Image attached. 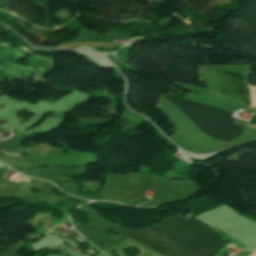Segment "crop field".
<instances>
[{
    "mask_svg": "<svg viewBox=\"0 0 256 256\" xmlns=\"http://www.w3.org/2000/svg\"><path fill=\"white\" fill-rule=\"evenodd\" d=\"M165 99L207 136L230 142L242 134V127L232 125L234 121L232 112L186 100Z\"/></svg>",
    "mask_w": 256,
    "mask_h": 256,
    "instance_id": "obj_1",
    "label": "crop field"
},
{
    "mask_svg": "<svg viewBox=\"0 0 256 256\" xmlns=\"http://www.w3.org/2000/svg\"><path fill=\"white\" fill-rule=\"evenodd\" d=\"M147 229L200 256H211L221 246L209 229L176 216Z\"/></svg>",
    "mask_w": 256,
    "mask_h": 256,
    "instance_id": "obj_2",
    "label": "crop field"
},
{
    "mask_svg": "<svg viewBox=\"0 0 256 256\" xmlns=\"http://www.w3.org/2000/svg\"><path fill=\"white\" fill-rule=\"evenodd\" d=\"M205 70L215 91L250 105V93L243 81V74Z\"/></svg>",
    "mask_w": 256,
    "mask_h": 256,
    "instance_id": "obj_3",
    "label": "crop field"
},
{
    "mask_svg": "<svg viewBox=\"0 0 256 256\" xmlns=\"http://www.w3.org/2000/svg\"><path fill=\"white\" fill-rule=\"evenodd\" d=\"M121 234L163 256H198L146 229L132 233L123 228Z\"/></svg>",
    "mask_w": 256,
    "mask_h": 256,
    "instance_id": "obj_4",
    "label": "crop field"
},
{
    "mask_svg": "<svg viewBox=\"0 0 256 256\" xmlns=\"http://www.w3.org/2000/svg\"><path fill=\"white\" fill-rule=\"evenodd\" d=\"M0 149L10 152V153H16V154H22L24 152L29 153L30 149L23 150L21 148L20 139H10V140H3L0 141Z\"/></svg>",
    "mask_w": 256,
    "mask_h": 256,
    "instance_id": "obj_5",
    "label": "crop field"
},
{
    "mask_svg": "<svg viewBox=\"0 0 256 256\" xmlns=\"http://www.w3.org/2000/svg\"><path fill=\"white\" fill-rule=\"evenodd\" d=\"M256 123V113L255 115L253 116V118L251 119L250 123L249 124H254Z\"/></svg>",
    "mask_w": 256,
    "mask_h": 256,
    "instance_id": "obj_6",
    "label": "crop field"
}]
</instances>
